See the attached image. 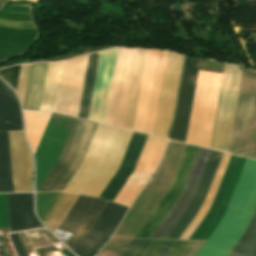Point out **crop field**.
Instances as JSON below:
<instances>
[{
  "label": "crop field",
  "mask_w": 256,
  "mask_h": 256,
  "mask_svg": "<svg viewBox=\"0 0 256 256\" xmlns=\"http://www.w3.org/2000/svg\"><path fill=\"white\" fill-rule=\"evenodd\" d=\"M29 1H34V2H36L37 0H29Z\"/></svg>",
  "instance_id": "obj_40"
},
{
  "label": "crop field",
  "mask_w": 256,
  "mask_h": 256,
  "mask_svg": "<svg viewBox=\"0 0 256 256\" xmlns=\"http://www.w3.org/2000/svg\"><path fill=\"white\" fill-rule=\"evenodd\" d=\"M204 242L197 241L187 256H194Z\"/></svg>",
  "instance_id": "obj_38"
},
{
  "label": "crop field",
  "mask_w": 256,
  "mask_h": 256,
  "mask_svg": "<svg viewBox=\"0 0 256 256\" xmlns=\"http://www.w3.org/2000/svg\"><path fill=\"white\" fill-rule=\"evenodd\" d=\"M166 144L167 140L165 139L148 136L133 174L114 199V202L130 206L141 188L151 177Z\"/></svg>",
  "instance_id": "obj_8"
},
{
  "label": "crop field",
  "mask_w": 256,
  "mask_h": 256,
  "mask_svg": "<svg viewBox=\"0 0 256 256\" xmlns=\"http://www.w3.org/2000/svg\"><path fill=\"white\" fill-rule=\"evenodd\" d=\"M77 195L62 193L49 216L43 221L53 232L63 221Z\"/></svg>",
  "instance_id": "obj_27"
},
{
  "label": "crop field",
  "mask_w": 256,
  "mask_h": 256,
  "mask_svg": "<svg viewBox=\"0 0 256 256\" xmlns=\"http://www.w3.org/2000/svg\"><path fill=\"white\" fill-rule=\"evenodd\" d=\"M221 76L199 71L185 142L208 148Z\"/></svg>",
  "instance_id": "obj_3"
},
{
  "label": "crop field",
  "mask_w": 256,
  "mask_h": 256,
  "mask_svg": "<svg viewBox=\"0 0 256 256\" xmlns=\"http://www.w3.org/2000/svg\"><path fill=\"white\" fill-rule=\"evenodd\" d=\"M199 61L200 59L197 58L186 57L174 124L169 139L182 142L185 140Z\"/></svg>",
  "instance_id": "obj_14"
},
{
  "label": "crop field",
  "mask_w": 256,
  "mask_h": 256,
  "mask_svg": "<svg viewBox=\"0 0 256 256\" xmlns=\"http://www.w3.org/2000/svg\"><path fill=\"white\" fill-rule=\"evenodd\" d=\"M27 138L35 153L51 113L23 111Z\"/></svg>",
  "instance_id": "obj_24"
},
{
  "label": "crop field",
  "mask_w": 256,
  "mask_h": 256,
  "mask_svg": "<svg viewBox=\"0 0 256 256\" xmlns=\"http://www.w3.org/2000/svg\"><path fill=\"white\" fill-rule=\"evenodd\" d=\"M256 223V208L253 212V215L251 217V220L243 234V236L241 237V239L238 241V243L235 245V247L232 249V251L229 253L228 256H235L238 251L240 250V248L243 246V244L246 242V240L248 239L254 225Z\"/></svg>",
  "instance_id": "obj_29"
},
{
  "label": "crop field",
  "mask_w": 256,
  "mask_h": 256,
  "mask_svg": "<svg viewBox=\"0 0 256 256\" xmlns=\"http://www.w3.org/2000/svg\"><path fill=\"white\" fill-rule=\"evenodd\" d=\"M222 154L223 153H221V152H215V151L212 152L211 157L209 159V162L207 164V167L205 169V172L203 174V177L201 179V182L199 184V187L197 189V192H196L192 202L190 203L186 212L183 214V216L177 222L175 227L172 229V231L166 237V239H179V237L182 235L184 230L187 228V226L190 224L192 219L197 214L199 208L201 207V205L206 197V194L208 192V189L210 187V184L212 182L213 176L215 174V171L217 169V166L219 164Z\"/></svg>",
  "instance_id": "obj_18"
},
{
  "label": "crop field",
  "mask_w": 256,
  "mask_h": 256,
  "mask_svg": "<svg viewBox=\"0 0 256 256\" xmlns=\"http://www.w3.org/2000/svg\"><path fill=\"white\" fill-rule=\"evenodd\" d=\"M127 209L108 202L92 230L73 251L78 256H94L111 237Z\"/></svg>",
  "instance_id": "obj_12"
},
{
  "label": "crop field",
  "mask_w": 256,
  "mask_h": 256,
  "mask_svg": "<svg viewBox=\"0 0 256 256\" xmlns=\"http://www.w3.org/2000/svg\"><path fill=\"white\" fill-rule=\"evenodd\" d=\"M64 63H49L40 110L55 112Z\"/></svg>",
  "instance_id": "obj_22"
},
{
  "label": "crop field",
  "mask_w": 256,
  "mask_h": 256,
  "mask_svg": "<svg viewBox=\"0 0 256 256\" xmlns=\"http://www.w3.org/2000/svg\"><path fill=\"white\" fill-rule=\"evenodd\" d=\"M148 135L134 132L121 165L100 198L113 201L129 176L132 174Z\"/></svg>",
  "instance_id": "obj_17"
},
{
  "label": "crop field",
  "mask_w": 256,
  "mask_h": 256,
  "mask_svg": "<svg viewBox=\"0 0 256 256\" xmlns=\"http://www.w3.org/2000/svg\"><path fill=\"white\" fill-rule=\"evenodd\" d=\"M195 242L196 241H177L167 256H186Z\"/></svg>",
  "instance_id": "obj_32"
},
{
  "label": "crop field",
  "mask_w": 256,
  "mask_h": 256,
  "mask_svg": "<svg viewBox=\"0 0 256 256\" xmlns=\"http://www.w3.org/2000/svg\"><path fill=\"white\" fill-rule=\"evenodd\" d=\"M158 53L159 51H156V50L148 49L147 51L145 68H144L141 90H140L134 128H133V130L143 132V133L145 130V125L147 120V114H148L149 103L151 98Z\"/></svg>",
  "instance_id": "obj_19"
},
{
  "label": "crop field",
  "mask_w": 256,
  "mask_h": 256,
  "mask_svg": "<svg viewBox=\"0 0 256 256\" xmlns=\"http://www.w3.org/2000/svg\"><path fill=\"white\" fill-rule=\"evenodd\" d=\"M117 50L118 48H114L100 54L88 117L90 120L102 123L105 121Z\"/></svg>",
  "instance_id": "obj_13"
},
{
  "label": "crop field",
  "mask_w": 256,
  "mask_h": 256,
  "mask_svg": "<svg viewBox=\"0 0 256 256\" xmlns=\"http://www.w3.org/2000/svg\"><path fill=\"white\" fill-rule=\"evenodd\" d=\"M107 202L78 195L58 229L73 234L65 243L72 250L91 230Z\"/></svg>",
  "instance_id": "obj_10"
},
{
  "label": "crop field",
  "mask_w": 256,
  "mask_h": 256,
  "mask_svg": "<svg viewBox=\"0 0 256 256\" xmlns=\"http://www.w3.org/2000/svg\"><path fill=\"white\" fill-rule=\"evenodd\" d=\"M98 124L76 119L62 154L37 192L62 191L78 166Z\"/></svg>",
  "instance_id": "obj_4"
},
{
  "label": "crop field",
  "mask_w": 256,
  "mask_h": 256,
  "mask_svg": "<svg viewBox=\"0 0 256 256\" xmlns=\"http://www.w3.org/2000/svg\"><path fill=\"white\" fill-rule=\"evenodd\" d=\"M211 152V150L201 147L199 148L181 194L150 238L165 239L176 222L185 212L196 192Z\"/></svg>",
  "instance_id": "obj_9"
},
{
  "label": "crop field",
  "mask_w": 256,
  "mask_h": 256,
  "mask_svg": "<svg viewBox=\"0 0 256 256\" xmlns=\"http://www.w3.org/2000/svg\"><path fill=\"white\" fill-rule=\"evenodd\" d=\"M87 57L66 61L56 112L76 117Z\"/></svg>",
  "instance_id": "obj_15"
},
{
  "label": "crop field",
  "mask_w": 256,
  "mask_h": 256,
  "mask_svg": "<svg viewBox=\"0 0 256 256\" xmlns=\"http://www.w3.org/2000/svg\"><path fill=\"white\" fill-rule=\"evenodd\" d=\"M198 148L199 147L197 146L189 144L186 145L171 185L165 197L163 198V200L161 199L162 201L160 202V204L158 203L159 205L154 210L152 215L150 214L151 216L149 217V219L147 218L148 220L146 221L144 226L142 225L143 227L141 228V230L139 229L140 231L138 232V234L136 233L137 235L135 236V238H149V236L160 223L167 211L173 205L184 186Z\"/></svg>",
  "instance_id": "obj_11"
},
{
  "label": "crop field",
  "mask_w": 256,
  "mask_h": 256,
  "mask_svg": "<svg viewBox=\"0 0 256 256\" xmlns=\"http://www.w3.org/2000/svg\"><path fill=\"white\" fill-rule=\"evenodd\" d=\"M137 49L119 48L113 77L106 124L123 126Z\"/></svg>",
  "instance_id": "obj_6"
},
{
  "label": "crop field",
  "mask_w": 256,
  "mask_h": 256,
  "mask_svg": "<svg viewBox=\"0 0 256 256\" xmlns=\"http://www.w3.org/2000/svg\"><path fill=\"white\" fill-rule=\"evenodd\" d=\"M167 51H160L145 133L151 134Z\"/></svg>",
  "instance_id": "obj_28"
},
{
  "label": "crop field",
  "mask_w": 256,
  "mask_h": 256,
  "mask_svg": "<svg viewBox=\"0 0 256 256\" xmlns=\"http://www.w3.org/2000/svg\"><path fill=\"white\" fill-rule=\"evenodd\" d=\"M16 129H23L18 101L14 92L0 80V131Z\"/></svg>",
  "instance_id": "obj_21"
},
{
  "label": "crop field",
  "mask_w": 256,
  "mask_h": 256,
  "mask_svg": "<svg viewBox=\"0 0 256 256\" xmlns=\"http://www.w3.org/2000/svg\"><path fill=\"white\" fill-rule=\"evenodd\" d=\"M229 154H223L222 159L220 161V164L218 166V169L216 171L215 177L213 179V182L211 184V187L209 189V192L207 194V197L202 205V207L200 208L198 214L196 215V217L193 219V221L191 222V224L188 226V228L185 230V232L183 233V235L180 237V239H188V237L191 235V233L194 231V229L196 228V226L199 224V222L202 220V218L204 217L206 211L208 210L214 194L216 192V189L218 187V184L220 182L221 176L223 174V171L225 169V166L227 164L228 158H229Z\"/></svg>",
  "instance_id": "obj_25"
},
{
  "label": "crop field",
  "mask_w": 256,
  "mask_h": 256,
  "mask_svg": "<svg viewBox=\"0 0 256 256\" xmlns=\"http://www.w3.org/2000/svg\"><path fill=\"white\" fill-rule=\"evenodd\" d=\"M20 66H14L2 70L1 77L5 79L13 88L16 89L17 78Z\"/></svg>",
  "instance_id": "obj_33"
},
{
  "label": "crop field",
  "mask_w": 256,
  "mask_h": 256,
  "mask_svg": "<svg viewBox=\"0 0 256 256\" xmlns=\"http://www.w3.org/2000/svg\"><path fill=\"white\" fill-rule=\"evenodd\" d=\"M256 205V161L247 159L228 208L196 256H227L242 236Z\"/></svg>",
  "instance_id": "obj_2"
},
{
  "label": "crop field",
  "mask_w": 256,
  "mask_h": 256,
  "mask_svg": "<svg viewBox=\"0 0 256 256\" xmlns=\"http://www.w3.org/2000/svg\"><path fill=\"white\" fill-rule=\"evenodd\" d=\"M146 240H132L121 256H135Z\"/></svg>",
  "instance_id": "obj_34"
},
{
  "label": "crop field",
  "mask_w": 256,
  "mask_h": 256,
  "mask_svg": "<svg viewBox=\"0 0 256 256\" xmlns=\"http://www.w3.org/2000/svg\"><path fill=\"white\" fill-rule=\"evenodd\" d=\"M254 256H256V254Z\"/></svg>",
  "instance_id": "obj_41"
},
{
  "label": "crop field",
  "mask_w": 256,
  "mask_h": 256,
  "mask_svg": "<svg viewBox=\"0 0 256 256\" xmlns=\"http://www.w3.org/2000/svg\"><path fill=\"white\" fill-rule=\"evenodd\" d=\"M18 256H27L25 249L17 233L9 235Z\"/></svg>",
  "instance_id": "obj_35"
},
{
  "label": "crop field",
  "mask_w": 256,
  "mask_h": 256,
  "mask_svg": "<svg viewBox=\"0 0 256 256\" xmlns=\"http://www.w3.org/2000/svg\"><path fill=\"white\" fill-rule=\"evenodd\" d=\"M256 252V225L244 246L236 256H253Z\"/></svg>",
  "instance_id": "obj_30"
},
{
  "label": "crop field",
  "mask_w": 256,
  "mask_h": 256,
  "mask_svg": "<svg viewBox=\"0 0 256 256\" xmlns=\"http://www.w3.org/2000/svg\"><path fill=\"white\" fill-rule=\"evenodd\" d=\"M154 242L155 240H147L136 256H144Z\"/></svg>",
  "instance_id": "obj_37"
},
{
  "label": "crop field",
  "mask_w": 256,
  "mask_h": 256,
  "mask_svg": "<svg viewBox=\"0 0 256 256\" xmlns=\"http://www.w3.org/2000/svg\"><path fill=\"white\" fill-rule=\"evenodd\" d=\"M132 133L99 124L88 153L63 191L99 197L117 171Z\"/></svg>",
  "instance_id": "obj_1"
},
{
  "label": "crop field",
  "mask_w": 256,
  "mask_h": 256,
  "mask_svg": "<svg viewBox=\"0 0 256 256\" xmlns=\"http://www.w3.org/2000/svg\"><path fill=\"white\" fill-rule=\"evenodd\" d=\"M106 48H110V47H101V46L87 47V48L80 49L76 52H72V53H69V54H65V55H62V56H58V57H54V58H50V59H46V60H42V61L51 62V61L70 59V58H74V57H77V56H80V55H84V54H87V53H90V52H94V51H98V50H102V49H106Z\"/></svg>",
  "instance_id": "obj_31"
},
{
  "label": "crop field",
  "mask_w": 256,
  "mask_h": 256,
  "mask_svg": "<svg viewBox=\"0 0 256 256\" xmlns=\"http://www.w3.org/2000/svg\"><path fill=\"white\" fill-rule=\"evenodd\" d=\"M11 232L40 225L33 214V194H7Z\"/></svg>",
  "instance_id": "obj_20"
},
{
  "label": "crop field",
  "mask_w": 256,
  "mask_h": 256,
  "mask_svg": "<svg viewBox=\"0 0 256 256\" xmlns=\"http://www.w3.org/2000/svg\"><path fill=\"white\" fill-rule=\"evenodd\" d=\"M99 54L100 52L90 54L88 57L87 68H86L83 89H82V94H81V99L79 104V110L77 115V117L79 118L87 119L88 117V111L90 106V100H91V95H92V90H93V85L95 80Z\"/></svg>",
  "instance_id": "obj_23"
},
{
  "label": "crop field",
  "mask_w": 256,
  "mask_h": 256,
  "mask_svg": "<svg viewBox=\"0 0 256 256\" xmlns=\"http://www.w3.org/2000/svg\"><path fill=\"white\" fill-rule=\"evenodd\" d=\"M14 192L33 191L31 151L23 131L8 132Z\"/></svg>",
  "instance_id": "obj_16"
},
{
  "label": "crop field",
  "mask_w": 256,
  "mask_h": 256,
  "mask_svg": "<svg viewBox=\"0 0 256 256\" xmlns=\"http://www.w3.org/2000/svg\"><path fill=\"white\" fill-rule=\"evenodd\" d=\"M24 63H28V62L19 60V61H16V62L7 64V65H4V66H2V67H0V68L6 67V66H10V65H16V64H24Z\"/></svg>",
  "instance_id": "obj_39"
},
{
  "label": "crop field",
  "mask_w": 256,
  "mask_h": 256,
  "mask_svg": "<svg viewBox=\"0 0 256 256\" xmlns=\"http://www.w3.org/2000/svg\"><path fill=\"white\" fill-rule=\"evenodd\" d=\"M241 71L225 63L209 148L226 152Z\"/></svg>",
  "instance_id": "obj_5"
},
{
  "label": "crop field",
  "mask_w": 256,
  "mask_h": 256,
  "mask_svg": "<svg viewBox=\"0 0 256 256\" xmlns=\"http://www.w3.org/2000/svg\"><path fill=\"white\" fill-rule=\"evenodd\" d=\"M184 56L167 54L152 134L166 137L172 121Z\"/></svg>",
  "instance_id": "obj_7"
},
{
  "label": "crop field",
  "mask_w": 256,
  "mask_h": 256,
  "mask_svg": "<svg viewBox=\"0 0 256 256\" xmlns=\"http://www.w3.org/2000/svg\"><path fill=\"white\" fill-rule=\"evenodd\" d=\"M0 192H13L7 132H0Z\"/></svg>",
  "instance_id": "obj_26"
},
{
  "label": "crop field",
  "mask_w": 256,
  "mask_h": 256,
  "mask_svg": "<svg viewBox=\"0 0 256 256\" xmlns=\"http://www.w3.org/2000/svg\"><path fill=\"white\" fill-rule=\"evenodd\" d=\"M175 242L176 241L164 240V242L161 244V246L158 248L153 256H165L175 244Z\"/></svg>",
  "instance_id": "obj_36"
}]
</instances>
